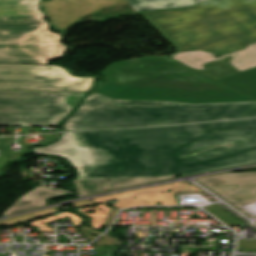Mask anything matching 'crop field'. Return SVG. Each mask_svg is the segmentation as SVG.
Wrapping results in <instances>:
<instances>
[{
  "instance_id": "crop-field-1",
  "label": "crop field",
  "mask_w": 256,
  "mask_h": 256,
  "mask_svg": "<svg viewBox=\"0 0 256 256\" xmlns=\"http://www.w3.org/2000/svg\"><path fill=\"white\" fill-rule=\"evenodd\" d=\"M33 150L66 158L77 179L191 175L256 162V119L63 133Z\"/></svg>"
},
{
  "instance_id": "crop-field-2",
  "label": "crop field",
  "mask_w": 256,
  "mask_h": 256,
  "mask_svg": "<svg viewBox=\"0 0 256 256\" xmlns=\"http://www.w3.org/2000/svg\"><path fill=\"white\" fill-rule=\"evenodd\" d=\"M143 16L179 50L172 59L215 80L256 66V0H211Z\"/></svg>"
},
{
  "instance_id": "crop-field-3",
  "label": "crop field",
  "mask_w": 256,
  "mask_h": 256,
  "mask_svg": "<svg viewBox=\"0 0 256 256\" xmlns=\"http://www.w3.org/2000/svg\"><path fill=\"white\" fill-rule=\"evenodd\" d=\"M101 73L107 83L95 93L112 99L185 103L253 101L168 58L116 62Z\"/></svg>"
},
{
  "instance_id": "crop-field-4",
  "label": "crop field",
  "mask_w": 256,
  "mask_h": 256,
  "mask_svg": "<svg viewBox=\"0 0 256 256\" xmlns=\"http://www.w3.org/2000/svg\"><path fill=\"white\" fill-rule=\"evenodd\" d=\"M256 117V102L185 104L170 101H122L90 94L70 116L66 130L154 125Z\"/></svg>"
},
{
  "instance_id": "crop-field-5",
  "label": "crop field",
  "mask_w": 256,
  "mask_h": 256,
  "mask_svg": "<svg viewBox=\"0 0 256 256\" xmlns=\"http://www.w3.org/2000/svg\"><path fill=\"white\" fill-rule=\"evenodd\" d=\"M85 94L0 91V125L55 126Z\"/></svg>"
},
{
  "instance_id": "crop-field-6",
  "label": "crop field",
  "mask_w": 256,
  "mask_h": 256,
  "mask_svg": "<svg viewBox=\"0 0 256 256\" xmlns=\"http://www.w3.org/2000/svg\"><path fill=\"white\" fill-rule=\"evenodd\" d=\"M48 24L0 26V63L48 64L63 56L66 46L61 35Z\"/></svg>"
},
{
  "instance_id": "crop-field-7",
  "label": "crop field",
  "mask_w": 256,
  "mask_h": 256,
  "mask_svg": "<svg viewBox=\"0 0 256 256\" xmlns=\"http://www.w3.org/2000/svg\"><path fill=\"white\" fill-rule=\"evenodd\" d=\"M94 80L62 66L0 64V90L88 92Z\"/></svg>"
},
{
  "instance_id": "crop-field-8",
  "label": "crop field",
  "mask_w": 256,
  "mask_h": 256,
  "mask_svg": "<svg viewBox=\"0 0 256 256\" xmlns=\"http://www.w3.org/2000/svg\"><path fill=\"white\" fill-rule=\"evenodd\" d=\"M208 0H49L42 3L52 24L58 29H66L81 18L99 10L130 3L137 13L155 9H180Z\"/></svg>"
},
{
  "instance_id": "crop-field-9",
  "label": "crop field",
  "mask_w": 256,
  "mask_h": 256,
  "mask_svg": "<svg viewBox=\"0 0 256 256\" xmlns=\"http://www.w3.org/2000/svg\"><path fill=\"white\" fill-rule=\"evenodd\" d=\"M250 218L240 206L256 201V173L219 174L198 179Z\"/></svg>"
},
{
  "instance_id": "crop-field-10",
  "label": "crop field",
  "mask_w": 256,
  "mask_h": 256,
  "mask_svg": "<svg viewBox=\"0 0 256 256\" xmlns=\"http://www.w3.org/2000/svg\"><path fill=\"white\" fill-rule=\"evenodd\" d=\"M40 0H0V24L45 22L38 11Z\"/></svg>"
},
{
  "instance_id": "crop-field-11",
  "label": "crop field",
  "mask_w": 256,
  "mask_h": 256,
  "mask_svg": "<svg viewBox=\"0 0 256 256\" xmlns=\"http://www.w3.org/2000/svg\"><path fill=\"white\" fill-rule=\"evenodd\" d=\"M175 177V176H171ZM169 177L154 178H124V179H97V180H74L79 194L88 195L100 193L114 188L130 186L134 184L156 181Z\"/></svg>"
},
{
  "instance_id": "crop-field-12",
  "label": "crop field",
  "mask_w": 256,
  "mask_h": 256,
  "mask_svg": "<svg viewBox=\"0 0 256 256\" xmlns=\"http://www.w3.org/2000/svg\"><path fill=\"white\" fill-rule=\"evenodd\" d=\"M61 194L66 193L54 189L38 187L16 201L6 212L3 213V216L45 205L44 200L46 198Z\"/></svg>"
},
{
  "instance_id": "crop-field-13",
  "label": "crop field",
  "mask_w": 256,
  "mask_h": 256,
  "mask_svg": "<svg viewBox=\"0 0 256 256\" xmlns=\"http://www.w3.org/2000/svg\"><path fill=\"white\" fill-rule=\"evenodd\" d=\"M256 99V67L217 80Z\"/></svg>"
},
{
  "instance_id": "crop-field-14",
  "label": "crop field",
  "mask_w": 256,
  "mask_h": 256,
  "mask_svg": "<svg viewBox=\"0 0 256 256\" xmlns=\"http://www.w3.org/2000/svg\"><path fill=\"white\" fill-rule=\"evenodd\" d=\"M136 199H124L112 204L113 208L136 207L141 205H156L160 201L161 205H180L173 194L160 192H145L136 195Z\"/></svg>"
},
{
  "instance_id": "crop-field-15",
  "label": "crop field",
  "mask_w": 256,
  "mask_h": 256,
  "mask_svg": "<svg viewBox=\"0 0 256 256\" xmlns=\"http://www.w3.org/2000/svg\"><path fill=\"white\" fill-rule=\"evenodd\" d=\"M57 209V208H56ZM56 209H50V210H45V211H40V212H36V213H33V214H29V215H26V216H23V217H19V218H16V219H12V220H9V221H6V222H2L0 223V226H11V225H15V224H18V220L20 221L19 223H26L25 221H28V220H31V219H36L38 217H41L44 215H48L50 213H54V212H57L58 210ZM54 215V214H53ZM34 216H36V218H34ZM65 216H70L69 219H71L73 221V223L75 224V226L79 225L80 224V218L74 214H71V213H68V212H65V213H62V214H58L57 217L52 216V217H48L46 218L45 220L43 219H40V220H37L35 222H32V224L30 225H34V226H46L45 224H41L40 222H47V221H51V220H55V219H59V218H63ZM45 218V217H44ZM23 219H26V220H23ZM21 226H25V224L21 225Z\"/></svg>"
},
{
  "instance_id": "crop-field-16",
  "label": "crop field",
  "mask_w": 256,
  "mask_h": 256,
  "mask_svg": "<svg viewBox=\"0 0 256 256\" xmlns=\"http://www.w3.org/2000/svg\"><path fill=\"white\" fill-rule=\"evenodd\" d=\"M180 186V182L174 183V184H169V185H164V186H158V187H152V188H146V189H140V190H135V191H130V192H125V193H120V194H115L99 199H94V201L100 203L103 202L104 205H106V202L113 201V200H119L123 198H135L134 194L141 192V191H149V190H160V191H167L170 188ZM108 206V205H106Z\"/></svg>"
},
{
  "instance_id": "crop-field-17",
  "label": "crop field",
  "mask_w": 256,
  "mask_h": 256,
  "mask_svg": "<svg viewBox=\"0 0 256 256\" xmlns=\"http://www.w3.org/2000/svg\"><path fill=\"white\" fill-rule=\"evenodd\" d=\"M91 204H94V203H93V202H89V201H82V202L74 203V206H75V208H76V207H78V206L82 207V206L90 205L91 207H87V208H83V207H82V209H80V210H78V211H80V212L86 214V213H85L86 211H89V212H90L91 210H93L94 213L90 214V213L88 212L86 215L92 218V226L95 227V228H97V229H99V228L101 227V226H99V225H100V223H101V221H102V219H103L105 213L100 210L101 205L95 206L94 209H91V208H92V205H91ZM76 210H77V209H76Z\"/></svg>"
},
{
  "instance_id": "crop-field-18",
  "label": "crop field",
  "mask_w": 256,
  "mask_h": 256,
  "mask_svg": "<svg viewBox=\"0 0 256 256\" xmlns=\"http://www.w3.org/2000/svg\"><path fill=\"white\" fill-rule=\"evenodd\" d=\"M207 211H209L211 214L219 218L221 221H223L228 226L237 225V224H244L225 210L219 207L218 204L210 205L203 207Z\"/></svg>"
}]
</instances>
